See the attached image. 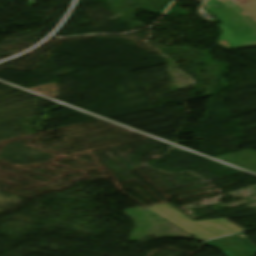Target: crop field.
Returning a JSON list of instances; mask_svg holds the SVG:
<instances>
[{
	"label": "crop field",
	"mask_w": 256,
	"mask_h": 256,
	"mask_svg": "<svg viewBox=\"0 0 256 256\" xmlns=\"http://www.w3.org/2000/svg\"><path fill=\"white\" fill-rule=\"evenodd\" d=\"M205 242L217 246L226 256H255L256 253V246L242 232Z\"/></svg>",
	"instance_id": "34b2d1b8"
},
{
	"label": "crop field",
	"mask_w": 256,
	"mask_h": 256,
	"mask_svg": "<svg viewBox=\"0 0 256 256\" xmlns=\"http://www.w3.org/2000/svg\"><path fill=\"white\" fill-rule=\"evenodd\" d=\"M222 24L218 46L225 49L256 46V21L231 0H208L203 6Z\"/></svg>",
	"instance_id": "8a807250"
},
{
	"label": "crop field",
	"mask_w": 256,
	"mask_h": 256,
	"mask_svg": "<svg viewBox=\"0 0 256 256\" xmlns=\"http://www.w3.org/2000/svg\"><path fill=\"white\" fill-rule=\"evenodd\" d=\"M239 3L256 18V0H242Z\"/></svg>",
	"instance_id": "412701ff"
},
{
	"label": "crop field",
	"mask_w": 256,
	"mask_h": 256,
	"mask_svg": "<svg viewBox=\"0 0 256 256\" xmlns=\"http://www.w3.org/2000/svg\"><path fill=\"white\" fill-rule=\"evenodd\" d=\"M195 1H197V2H199V3H201V4H203V2H204L205 0H195Z\"/></svg>",
	"instance_id": "f4fd0767"
},
{
	"label": "crop field",
	"mask_w": 256,
	"mask_h": 256,
	"mask_svg": "<svg viewBox=\"0 0 256 256\" xmlns=\"http://www.w3.org/2000/svg\"><path fill=\"white\" fill-rule=\"evenodd\" d=\"M149 208L201 240L243 231L223 219L193 222L165 203Z\"/></svg>",
	"instance_id": "ac0d7876"
}]
</instances>
